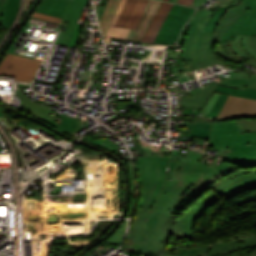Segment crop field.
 Returning a JSON list of instances; mask_svg holds the SVG:
<instances>
[{
	"mask_svg": "<svg viewBox=\"0 0 256 256\" xmlns=\"http://www.w3.org/2000/svg\"><path fill=\"white\" fill-rule=\"evenodd\" d=\"M220 197L210 190L182 217L137 209L122 250L152 256H202L209 247L195 246L193 223L208 205Z\"/></svg>",
	"mask_w": 256,
	"mask_h": 256,
	"instance_id": "crop-field-1",
	"label": "crop field"
},
{
	"mask_svg": "<svg viewBox=\"0 0 256 256\" xmlns=\"http://www.w3.org/2000/svg\"><path fill=\"white\" fill-rule=\"evenodd\" d=\"M202 155L188 150L185 158H178L172 181L164 182L151 210L175 214L177 210L196 200L198 195L207 190L199 186L184 184L185 171L192 172Z\"/></svg>",
	"mask_w": 256,
	"mask_h": 256,
	"instance_id": "crop-field-2",
	"label": "crop field"
},
{
	"mask_svg": "<svg viewBox=\"0 0 256 256\" xmlns=\"http://www.w3.org/2000/svg\"><path fill=\"white\" fill-rule=\"evenodd\" d=\"M207 146L219 149L216 156L224 159L242 164L256 163V133L241 134L236 121L212 123Z\"/></svg>",
	"mask_w": 256,
	"mask_h": 256,
	"instance_id": "crop-field-3",
	"label": "crop field"
},
{
	"mask_svg": "<svg viewBox=\"0 0 256 256\" xmlns=\"http://www.w3.org/2000/svg\"><path fill=\"white\" fill-rule=\"evenodd\" d=\"M216 35L202 32L200 29L190 28L182 59L186 62L179 66V73L199 69L216 63L219 59L214 55L212 48Z\"/></svg>",
	"mask_w": 256,
	"mask_h": 256,
	"instance_id": "crop-field-4",
	"label": "crop field"
},
{
	"mask_svg": "<svg viewBox=\"0 0 256 256\" xmlns=\"http://www.w3.org/2000/svg\"><path fill=\"white\" fill-rule=\"evenodd\" d=\"M134 158L138 168L139 180L143 188V197L139 208L150 209L165 180L166 157ZM158 191V192H156Z\"/></svg>",
	"mask_w": 256,
	"mask_h": 256,
	"instance_id": "crop-field-5",
	"label": "crop field"
},
{
	"mask_svg": "<svg viewBox=\"0 0 256 256\" xmlns=\"http://www.w3.org/2000/svg\"><path fill=\"white\" fill-rule=\"evenodd\" d=\"M255 7L256 0H243L237 8H229L215 32L216 42L226 43L227 39L234 40L240 25Z\"/></svg>",
	"mask_w": 256,
	"mask_h": 256,
	"instance_id": "crop-field-6",
	"label": "crop field"
},
{
	"mask_svg": "<svg viewBox=\"0 0 256 256\" xmlns=\"http://www.w3.org/2000/svg\"><path fill=\"white\" fill-rule=\"evenodd\" d=\"M254 188H256V169L239 170L214 182L210 186V189L225 199Z\"/></svg>",
	"mask_w": 256,
	"mask_h": 256,
	"instance_id": "crop-field-7",
	"label": "crop field"
},
{
	"mask_svg": "<svg viewBox=\"0 0 256 256\" xmlns=\"http://www.w3.org/2000/svg\"><path fill=\"white\" fill-rule=\"evenodd\" d=\"M195 10L190 7L174 4L154 42L168 45L173 44L177 40L185 22Z\"/></svg>",
	"mask_w": 256,
	"mask_h": 256,
	"instance_id": "crop-field-8",
	"label": "crop field"
},
{
	"mask_svg": "<svg viewBox=\"0 0 256 256\" xmlns=\"http://www.w3.org/2000/svg\"><path fill=\"white\" fill-rule=\"evenodd\" d=\"M41 61L6 53L0 62V75L16 77L15 81L31 82Z\"/></svg>",
	"mask_w": 256,
	"mask_h": 256,
	"instance_id": "crop-field-9",
	"label": "crop field"
},
{
	"mask_svg": "<svg viewBox=\"0 0 256 256\" xmlns=\"http://www.w3.org/2000/svg\"><path fill=\"white\" fill-rule=\"evenodd\" d=\"M216 159L210 166L198 162L193 173L186 172L185 183L196 184L208 188L211 183L222 178L223 176L239 170L230 169L232 164L222 162L220 166L214 165Z\"/></svg>",
	"mask_w": 256,
	"mask_h": 256,
	"instance_id": "crop-field-10",
	"label": "crop field"
},
{
	"mask_svg": "<svg viewBox=\"0 0 256 256\" xmlns=\"http://www.w3.org/2000/svg\"><path fill=\"white\" fill-rule=\"evenodd\" d=\"M255 245L256 234L253 231H247L243 234L218 242L205 256L225 254L240 248Z\"/></svg>",
	"mask_w": 256,
	"mask_h": 256,
	"instance_id": "crop-field-11",
	"label": "crop field"
},
{
	"mask_svg": "<svg viewBox=\"0 0 256 256\" xmlns=\"http://www.w3.org/2000/svg\"><path fill=\"white\" fill-rule=\"evenodd\" d=\"M256 115V100L229 95L218 117Z\"/></svg>",
	"mask_w": 256,
	"mask_h": 256,
	"instance_id": "crop-field-12",
	"label": "crop field"
},
{
	"mask_svg": "<svg viewBox=\"0 0 256 256\" xmlns=\"http://www.w3.org/2000/svg\"><path fill=\"white\" fill-rule=\"evenodd\" d=\"M228 47L236 55L249 60L256 67V37L237 35L235 41L228 40Z\"/></svg>",
	"mask_w": 256,
	"mask_h": 256,
	"instance_id": "crop-field-13",
	"label": "crop field"
},
{
	"mask_svg": "<svg viewBox=\"0 0 256 256\" xmlns=\"http://www.w3.org/2000/svg\"><path fill=\"white\" fill-rule=\"evenodd\" d=\"M89 0H69L63 21L70 22L64 32L59 44L67 45L77 22L81 16L84 5H88Z\"/></svg>",
	"mask_w": 256,
	"mask_h": 256,
	"instance_id": "crop-field-14",
	"label": "crop field"
},
{
	"mask_svg": "<svg viewBox=\"0 0 256 256\" xmlns=\"http://www.w3.org/2000/svg\"><path fill=\"white\" fill-rule=\"evenodd\" d=\"M161 4V1L149 0L137 29H131L126 39L142 41Z\"/></svg>",
	"mask_w": 256,
	"mask_h": 256,
	"instance_id": "crop-field-15",
	"label": "crop field"
},
{
	"mask_svg": "<svg viewBox=\"0 0 256 256\" xmlns=\"http://www.w3.org/2000/svg\"><path fill=\"white\" fill-rule=\"evenodd\" d=\"M16 96L21 100V110L46 122L56 118L50 115L53 109L31 102L23 93L21 88H17Z\"/></svg>",
	"mask_w": 256,
	"mask_h": 256,
	"instance_id": "crop-field-16",
	"label": "crop field"
},
{
	"mask_svg": "<svg viewBox=\"0 0 256 256\" xmlns=\"http://www.w3.org/2000/svg\"><path fill=\"white\" fill-rule=\"evenodd\" d=\"M215 91L222 92L217 103L215 104L214 108L212 111L205 115L208 117H217L219 111L221 110L223 104L225 103L227 97L229 94L240 96V97H245V98H253L256 99V89L252 88H246L245 91L240 90V89H235V88H229V87H224L218 85Z\"/></svg>",
	"mask_w": 256,
	"mask_h": 256,
	"instance_id": "crop-field-17",
	"label": "crop field"
},
{
	"mask_svg": "<svg viewBox=\"0 0 256 256\" xmlns=\"http://www.w3.org/2000/svg\"><path fill=\"white\" fill-rule=\"evenodd\" d=\"M172 3L163 2L161 8L159 9L157 15L155 16L150 28L148 29L143 42L152 43L155 39L165 17L167 16L168 12L172 8Z\"/></svg>",
	"mask_w": 256,
	"mask_h": 256,
	"instance_id": "crop-field-18",
	"label": "crop field"
},
{
	"mask_svg": "<svg viewBox=\"0 0 256 256\" xmlns=\"http://www.w3.org/2000/svg\"><path fill=\"white\" fill-rule=\"evenodd\" d=\"M67 2L65 0H42L36 12L63 18Z\"/></svg>",
	"mask_w": 256,
	"mask_h": 256,
	"instance_id": "crop-field-19",
	"label": "crop field"
},
{
	"mask_svg": "<svg viewBox=\"0 0 256 256\" xmlns=\"http://www.w3.org/2000/svg\"><path fill=\"white\" fill-rule=\"evenodd\" d=\"M216 86L196 91L193 98L182 97V106L204 108Z\"/></svg>",
	"mask_w": 256,
	"mask_h": 256,
	"instance_id": "crop-field-20",
	"label": "crop field"
},
{
	"mask_svg": "<svg viewBox=\"0 0 256 256\" xmlns=\"http://www.w3.org/2000/svg\"><path fill=\"white\" fill-rule=\"evenodd\" d=\"M113 224H110V223H102V224H99L98 226L101 227V230H100V233L97 234L94 238H91V242L90 244H92L93 242H95L97 239L101 238L109 229L110 227L112 226ZM57 244L58 245H65V244H68L67 241H57ZM88 244V245H90ZM88 245H80V246H72V245H69L67 248H64L61 247L59 249H61L62 251L59 253L60 256H72L74 255L78 250L88 246Z\"/></svg>",
	"mask_w": 256,
	"mask_h": 256,
	"instance_id": "crop-field-21",
	"label": "crop field"
},
{
	"mask_svg": "<svg viewBox=\"0 0 256 256\" xmlns=\"http://www.w3.org/2000/svg\"><path fill=\"white\" fill-rule=\"evenodd\" d=\"M182 128H191L188 136L208 139L211 133V123L197 122L196 124L182 123Z\"/></svg>",
	"mask_w": 256,
	"mask_h": 256,
	"instance_id": "crop-field-22",
	"label": "crop field"
},
{
	"mask_svg": "<svg viewBox=\"0 0 256 256\" xmlns=\"http://www.w3.org/2000/svg\"><path fill=\"white\" fill-rule=\"evenodd\" d=\"M220 85L245 89V87L256 88V73L247 78L222 79Z\"/></svg>",
	"mask_w": 256,
	"mask_h": 256,
	"instance_id": "crop-field-23",
	"label": "crop field"
},
{
	"mask_svg": "<svg viewBox=\"0 0 256 256\" xmlns=\"http://www.w3.org/2000/svg\"><path fill=\"white\" fill-rule=\"evenodd\" d=\"M125 1L126 0H122L120 5H119V8H118L117 13H116V16H115V18H114V20H113V22H112V24H111V26H110L106 36L104 38L105 42H110L112 38H115V39H125L127 34H128V32H129V30H130V29H121V28L114 27V25H115V23L117 21V18H118L119 14H120V11H121Z\"/></svg>",
	"mask_w": 256,
	"mask_h": 256,
	"instance_id": "crop-field-24",
	"label": "crop field"
},
{
	"mask_svg": "<svg viewBox=\"0 0 256 256\" xmlns=\"http://www.w3.org/2000/svg\"><path fill=\"white\" fill-rule=\"evenodd\" d=\"M19 2L20 0H7L4 7L1 26L9 28L16 16V12L19 8Z\"/></svg>",
	"mask_w": 256,
	"mask_h": 256,
	"instance_id": "crop-field-25",
	"label": "crop field"
},
{
	"mask_svg": "<svg viewBox=\"0 0 256 256\" xmlns=\"http://www.w3.org/2000/svg\"><path fill=\"white\" fill-rule=\"evenodd\" d=\"M120 0H109L107 3V7L105 13L101 19L100 26L103 35H105L115 13L118 8Z\"/></svg>",
	"mask_w": 256,
	"mask_h": 256,
	"instance_id": "crop-field-26",
	"label": "crop field"
},
{
	"mask_svg": "<svg viewBox=\"0 0 256 256\" xmlns=\"http://www.w3.org/2000/svg\"><path fill=\"white\" fill-rule=\"evenodd\" d=\"M65 115L66 114L62 116L61 123L55 125V128L63 132L69 133L71 135H74L78 130L82 129V126L80 125L83 123V121L78 120L76 118L73 119Z\"/></svg>",
	"mask_w": 256,
	"mask_h": 256,
	"instance_id": "crop-field-27",
	"label": "crop field"
},
{
	"mask_svg": "<svg viewBox=\"0 0 256 256\" xmlns=\"http://www.w3.org/2000/svg\"><path fill=\"white\" fill-rule=\"evenodd\" d=\"M237 34L256 36V8L241 25Z\"/></svg>",
	"mask_w": 256,
	"mask_h": 256,
	"instance_id": "crop-field-28",
	"label": "crop field"
},
{
	"mask_svg": "<svg viewBox=\"0 0 256 256\" xmlns=\"http://www.w3.org/2000/svg\"><path fill=\"white\" fill-rule=\"evenodd\" d=\"M147 2L148 0H138L125 28H136Z\"/></svg>",
	"mask_w": 256,
	"mask_h": 256,
	"instance_id": "crop-field-29",
	"label": "crop field"
},
{
	"mask_svg": "<svg viewBox=\"0 0 256 256\" xmlns=\"http://www.w3.org/2000/svg\"><path fill=\"white\" fill-rule=\"evenodd\" d=\"M137 0H127L115 26L123 28Z\"/></svg>",
	"mask_w": 256,
	"mask_h": 256,
	"instance_id": "crop-field-30",
	"label": "crop field"
},
{
	"mask_svg": "<svg viewBox=\"0 0 256 256\" xmlns=\"http://www.w3.org/2000/svg\"><path fill=\"white\" fill-rule=\"evenodd\" d=\"M217 51L219 53V55L221 57H223L225 60L227 61H231V62H237V63H240V62H244L246 60L234 55L230 50L229 48L227 47L226 44H218V48H217Z\"/></svg>",
	"mask_w": 256,
	"mask_h": 256,
	"instance_id": "crop-field-31",
	"label": "crop field"
},
{
	"mask_svg": "<svg viewBox=\"0 0 256 256\" xmlns=\"http://www.w3.org/2000/svg\"><path fill=\"white\" fill-rule=\"evenodd\" d=\"M228 8L221 7L217 12L214 13L211 20L208 22L207 26L205 27L204 31L208 32H215V29L217 27V24L221 17L224 15V13L227 11Z\"/></svg>",
	"mask_w": 256,
	"mask_h": 256,
	"instance_id": "crop-field-32",
	"label": "crop field"
},
{
	"mask_svg": "<svg viewBox=\"0 0 256 256\" xmlns=\"http://www.w3.org/2000/svg\"><path fill=\"white\" fill-rule=\"evenodd\" d=\"M237 123L242 133L256 132V119H241Z\"/></svg>",
	"mask_w": 256,
	"mask_h": 256,
	"instance_id": "crop-field-33",
	"label": "crop field"
},
{
	"mask_svg": "<svg viewBox=\"0 0 256 256\" xmlns=\"http://www.w3.org/2000/svg\"><path fill=\"white\" fill-rule=\"evenodd\" d=\"M135 134H137V132H134V138H135V142H136V146L141 154V156H154V154H156V156H161V150H153L150 151V146H148L147 148H142L140 145L139 140L136 139Z\"/></svg>",
	"mask_w": 256,
	"mask_h": 256,
	"instance_id": "crop-field-34",
	"label": "crop field"
},
{
	"mask_svg": "<svg viewBox=\"0 0 256 256\" xmlns=\"http://www.w3.org/2000/svg\"><path fill=\"white\" fill-rule=\"evenodd\" d=\"M127 220L124 224V226L114 235L112 236L110 239L107 240L108 243H112L114 245H121L125 230H126V226H127Z\"/></svg>",
	"mask_w": 256,
	"mask_h": 256,
	"instance_id": "crop-field-35",
	"label": "crop field"
},
{
	"mask_svg": "<svg viewBox=\"0 0 256 256\" xmlns=\"http://www.w3.org/2000/svg\"><path fill=\"white\" fill-rule=\"evenodd\" d=\"M90 143L95 144V145H99L109 151H114L116 149H118L117 145L114 144L112 141L108 140V139H100V140H93Z\"/></svg>",
	"mask_w": 256,
	"mask_h": 256,
	"instance_id": "crop-field-36",
	"label": "crop field"
},
{
	"mask_svg": "<svg viewBox=\"0 0 256 256\" xmlns=\"http://www.w3.org/2000/svg\"><path fill=\"white\" fill-rule=\"evenodd\" d=\"M220 95V93L214 92L213 95L211 96V98L209 99V101L207 102L205 108L203 109V111L201 112V116H204L205 114L209 113L210 110L213 108L218 96Z\"/></svg>",
	"mask_w": 256,
	"mask_h": 256,
	"instance_id": "crop-field-37",
	"label": "crop field"
},
{
	"mask_svg": "<svg viewBox=\"0 0 256 256\" xmlns=\"http://www.w3.org/2000/svg\"><path fill=\"white\" fill-rule=\"evenodd\" d=\"M82 25L83 24L78 23V25H77V27H76L73 35H72V38L69 41L68 46H73L74 47V45H75V43H76V41H77V39H78V37L81 33Z\"/></svg>",
	"mask_w": 256,
	"mask_h": 256,
	"instance_id": "crop-field-38",
	"label": "crop field"
},
{
	"mask_svg": "<svg viewBox=\"0 0 256 256\" xmlns=\"http://www.w3.org/2000/svg\"><path fill=\"white\" fill-rule=\"evenodd\" d=\"M242 0H216L214 5L234 7V4H240Z\"/></svg>",
	"mask_w": 256,
	"mask_h": 256,
	"instance_id": "crop-field-39",
	"label": "crop field"
},
{
	"mask_svg": "<svg viewBox=\"0 0 256 256\" xmlns=\"http://www.w3.org/2000/svg\"><path fill=\"white\" fill-rule=\"evenodd\" d=\"M32 17L40 18V19L47 20V21L54 22V23H58V24L60 23V20H61L59 18L43 15V14L36 13V12L33 13Z\"/></svg>",
	"mask_w": 256,
	"mask_h": 256,
	"instance_id": "crop-field-40",
	"label": "crop field"
},
{
	"mask_svg": "<svg viewBox=\"0 0 256 256\" xmlns=\"http://www.w3.org/2000/svg\"><path fill=\"white\" fill-rule=\"evenodd\" d=\"M106 3H107V1L100 0V6H96V11H97L99 22L104 13Z\"/></svg>",
	"mask_w": 256,
	"mask_h": 256,
	"instance_id": "crop-field-41",
	"label": "crop field"
},
{
	"mask_svg": "<svg viewBox=\"0 0 256 256\" xmlns=\"http://www.w3.org/2000/svg\"><path fill=\"white\" fill-rule=\"evenodd\" d=\"M130 167V172H131V182H132V198L134 197V191H135V182H134V175H133V170H132V165L131 161L127 162Z\"/></svg>",
	"mask_w": 256,
	"mask_h": 256,
	"instance_id": "crop-field-42",
	"label": "crop field"
},
{
	"mask_svg": "<svg viewBox=\"0 0 256 256\" xmlns=\"http://www.w3.org/2000/svg\"><path fill=\"white\" fill-rule=\"evenodd\" d=\"M93 74H94V72H90V71L85 70L81 80H85V81H89L90 79L93 80Z\"/></svg>",
	"mask_w": 256,
	"mask_h": 256,
	"instance_id": "crop-field-43",
	"label": "crop field"
},
{
	"mask_svg": "<svg viewBox=\"0 0 256 256\" xmlns=\"http://www.w3.org/2000/svg\"><path fill=\"white\" fill-rule=\"evenodd\" d=\"M188 29L189 27L188 26H185L184 30H183V33L179 39V41L177 43H179L180 45H183V41H184V38L185 36L187 35V32H188Z\"/></svg>",
	"mask_w": 256,
	"mask_h": 256,
	"instance_id": "crop-field-44",
	"label": "crop field"
},
{
	"mask_svg": "<svg viewBox=\"0 0 256 256\" xmlns=\"http://www.w3.org/2000/svg\"><path fill=\"white\" fill-rule=\"evenodd\" d=\"M193 109H195V108H186V109H184V111H188L189 114H197V115H199V113L202 110V109H195L196 112H194ZM183 113H185V112H183Z\"/></svg>",
	"mask_w": 256,
	"mask_h": 256,
	"instance_id": "crop-field-45",
	"label": "crop field"
},
{
	"mask_svg": "<svg viewBox=\"0 0 256 256\" xmlns=\"http://www.w3.org/2000/svg\"><path fill=\"white\" fill-rule=\"evenodd\" d=\"M6 0H0V23H1V16H2V12H3V7L5 4ZM4 29L3 27L0 26V30Z\"/></svg>",
	"mask_w": 256,
	"mask_h": 256,
	"instance_id": "crop-field-46",
	"label": "crop field"
},
{
	"mask_svg": "<svg viewBox=\"0 0 256 256\" xmlns=\"http://www.w3.org/2000/svg\"><path fill=\"white\" fill-rule=\"evenodd\" d=\"M206 0H194L193 5L194 7H200Z\"/></svg>",
	"mask_w": 256,
	"mask_h": 256,
	"instance_id": "crop-field-47",
	"label": "crop field"
},
{
	"mask_svg": "<svg viewBox=\"0 0 256 256\" xmlns=\"http://www.w3.org/2000/svg\"><path fill=\"white\" fill-rule=\"evenodd\" d=\"M34 0H26V8L28 9Z\"/></svg>",
	"mask_w": 256,
	"mask_h": 256,
	"instance_id": "crop-field-48",
	"label": "crop field"
},
{
	"mask_svg": "<svg viewBox=\"0 0 256 256\" xmlns=\"http://www.w3.org/2000/svg\"><path fill=\"white\" fill-rule=\"evenodd\" d=\"M192 2L193 0H184L183 4L191 6Z\"/></svg>",
	"mask_w": 256,
	"mask_h": 256,
	"instance_id": "crop-field-49",
	"label": "crop field"
},
{
	"mask_svg": "<svg viewBox=\"0 0 256 256\" xmlns=\"http://www.w3.org/2000/svg\"><path fill=\"white\" fill-rule=\"evenodd\" d=\"M62 34H63V32H62V31H60V32H59V35H58V37H57V39H56V41H55V43H56V44H58V43H59V40H60V38H61Z\"/></svg>",
	"mask_w": 256,
	"mask_h": 256,
	"instance_id": "crop-field-50",
	"label": "crop field"
},
{
	"mask_svg": "<svg viewBox=\"0 0 256 256\" xmlns=\"http://www.w3.org/2000/svg\"><path fill=\"white\" fill-rule=\"evenodd\" d=\"M182 1H183V0H178V2H177V3H180V4H181V3H182Z\"/></svg>",
	"mask_w": 256,
	"mask_h": 256,
	"instance_id": "crop-field-51",
	"label": "crop field"
},
{
	"mask_svg": "<svg viewBox=\"0 0 256 256\" xmlns=\"http://www.w3.org/2000/svg\"><path fill=\"white\" fill-rule=\"evenodd\" d=\"M172 2H175V3H176V2H177V0H172Z\"/></svg>",
	"mask_w": 256,
	"mask_h": 256,
	"instance_id": "crop-field-52",
	"label": "crop field"
},
{
	"mask_svg": "<svg viewBox=\"0 0 256 256\" xmlns=\"http://www.w3.org/2000/svg\"><path fill=\"white\" fill-rule=\"evenodd\" d=\"M165 1H168V0H165Z\"/></svg>",
	"mask_w": 256,
	"mask_h": 256,
	"instance_id": "crop-field-53",
	"label": "crop field"
},
{
	"mask_svg": "<svg viewBox=\"0 0 256 256\" xmlns=\"http://www.w3.org/2000/svg\"><path fill=\"white\" fill-rule=\"evenodd\" d=\"M170 1V0H169Z\"/></svg>",
	"mask_w": 256,
	"mask_h": 256,
	"instance_id": "crop-field-54",
	"label": "crop field"
}]
</instances>
